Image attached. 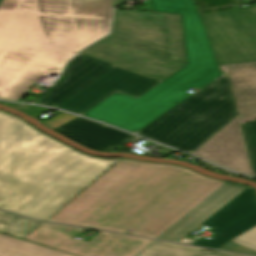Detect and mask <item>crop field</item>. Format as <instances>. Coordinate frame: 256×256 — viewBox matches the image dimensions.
<instances>
[{
    "label": "crop field",
    "instance_id": "1",
    "mask_svg": "<svg viewBox=\"0 0 256 256\" xmlns=\"http://www.w3.org/2000/svg\"><path fill=\"white\" fill-rule=\"evenodd\" d=\"M151 2L154 12L181 13L188 64L137 99L116 92L82 116L134 132L189 88H202L137 132L192 153L237 115L228 75L219 70L193 0Z\"/></svg>",
    "mask_w": 256,
    "mask_h": 256
},
{
    "label": "crop field",
    "instance_id": "2",
    "mask_svg": "<svg viewBox=\"0 0 256 256\" xmlns=\"http://www.w3.org/2000/svg\"><path fill=\"white\" fill-rule=\"evenodd\" d=\"M223 183L122 159L48 221L155 238Z\"/></svg>",
    "mask_w": 256,
    "mask_h": 256
},
{
    "label": "crop field",
    "instance_id": "3",
    "mask_svg": "<svg viewBox=\"0 0 256 256\" xmlns=\"http://www.w3.org/2000/svg\"><path fill=\"white\" fill-rule=\"evenodd\" d=\"M112 0H3L0 98L17 100L42 75L108 34Z\"/></svg>",
    "mask_w": 256,
    "mask_h": 256
},
{
    "label": "crop field",
    "instance_id": "4",
    "mask_svg": "<svg viewBox=\"0 0 256 256\" xmlns=\"http://www.w3.org/2000/svg\"><path fill=\"white\" fill-rule=\"evenodd\" d=\"M118 160L89 157L0 112V209L45 221Z\"/></svg>",
    "mask_w": 256,
    "mask_h": 256
},
{
    "label": "crop field",
    "instance_id": "5",
    "mask_svg": "<svg viewBox=\"0 0 256 256\" xmlns=\"http://www.w3.org/2000/svg\"><path fill=\"white\" fill-rule=\"evenodd\" d=\"M200 17L219 65L256 61V4Z\"/></svg>",
    "mask_w": 256,
    "mask_h": 256
},
{
    "label": "crop field",
    "instance_id": "6",
    "mask_svg": "<svg viewBox=\"0 0 256 256\" xmlns=\"http://www.w3.org/2000/svg\"><path fill=\"white\" fill-rule=\"evenodd\" d=\"M65 226L44 223L26 237L31 241L81 256H132L149 241L100 232L90 243L72 239L81 229L64 232Z\"/></svg>",
    "mask_w": 256,
    "mask_h": 256
},
{
    "label": "crop field",
    "instance_id": "7",
    "mask_svg": "<svg viewBox=\"0 0 256 256\" xmlns=\"http://www.w3.org/2000/svg\"><path fill=\"white\" fill-rule=\"evenodd\" d=\"M159 82L115 66L56 108L81 115L116 91L137 98Z\"/></svg>",
    "mask_w": 256,
    "mask_h": 256
},
{
    "label": "crop field",
    "instance_id": "8",
    "mask_svg": "<svg viewBox=\"0 0 256 256\" xmlns=\"http://www.w3.org/2000/svg\"><path fill=\"white\" fill-rule=\"evenodd\" d=\"M203 224L214 228L210 240L201 238L195 245L219 248L229 240L256 225V193L247 188Z\"/></svg>",
    "mask_w": 256,
    "mask_h": 256
},
{
    "label": "crop field",
    "instance_id": "9",
    "mask_svg": "<svg viewBox=\"0 0 256 256\" xmlns=\"http://www.w3.org/2000/svg\"><path fill=\"white\" fill-rule=\"evenodd\" d=\"M192 154L229 169L255 176L237 118Z\"/></svg>",
    "mask_w": 256,
    "mask_h": 256
},
{
    "label": "crop field",
    "instance_id": "10",
    "mask_svg": "<svg viewBox=\"0 0 256 256\" xmlns=\"http://www.w3.org/2000/svg\"><path fill=\"white\" fill-rule=\"evenodd\" d=\"M113 66L101 60L79 54L68 63L60 81L49 90L39 104L57 106Z\"/></svg>",
    "mask_w": 256,
    "mask_h": 256
},
{
    "label": "crop field",
    "instance_id": "11",
    "mask_svg": "<svg viewBox=\"0 0 256 256\" xmlns=\"http://www.w3.org/2000/svg\"><path fill=\"white\" fill-rule=\"evenodd\" d=\"M246 188L226 182L156 238L179 242Z\"/></svg>",
    "mask_w": 256,
    "mask_h": 256
},
{
    "label": "crop field",
    "instance_id": "12",
    "mask_svg": "<svg viewBox=\"0 0 256 256\" xmlns=\"http://www.w3.org/2000/svg\"><path fill=\"white\" fill-rule=\"evenodd\" d=\"M55 130L89 148L101 151H112L140 139L80 117Z\"/></svg>",
    "mask_w": 256,
    "mask_h": 256
},
{
    "label": "crop field",
    "instance_id": "13",
    "mask_svg": "<svg viewBox=\"0 0 256 256\" xmlns=\"http://www.w3.org/2000/svg\"><path fill=\"white\" fill-rule=\"evenodd\" d=\"M219 67L229 75L240 123L256 120V62Z\"/></svg>",
    "mask_w": 256,
    "mask_h": 256
},
{
    "label": "crop field",
    "instance_id": "14",
    "mask_svg": "<svg viewBox=\"0 0 256 256\" xmlns=\"http://www.w3.org/2000/svg\"><path fill=\"white\" fill-rule=\"evenodd\" d=\"M206 249L152 240L134 256H245L215 251L206 253Z\"/></svg>",
    "mask_w": 256,
    "mask_h": 256
},
{
    "label": "crop field",
    "instance_id": "15",
    "mask_svg": "<svg viewBox=\"0 0 256 256\" xmlns=\"http://www.w3.org/2000/svg\"><path fill=\"white\" fill-rule=\"evenodd\" d=\"M0 256H72L0 234Z\"/></svg>",
    "mask_w": 256,
    "mask_h": 256
},
{
    "label": "crop field",
    "instance_id": "16",
    "mask_svg": "<svg viewBox=\"0 0 256 256\" xmlns=\"http://www.w3.org/2000/svg\"><path fill=\"white\" fill-rule=\"evenodd\" d=\"M41 224V222L0 212V232L14 237L23 239Z\"/></svg>",
    "mask_w": 256,
    "mask_h": 256
},
{
    "label": "crop field",
    "instance_id": "17",
    "mask_svg": "<svg viewBox=\"0 0 256 256\" xmlns=\"http://www.w3.org/2000/svg\"><path fill=\"white\" fill-rule=\"evenodd\" d=\"M241 127L251 164L256 172V121L242 124Z\"/></svg>",
    "mask_w": 256,
    "mask_h": 256
},
{
    "label": "crop field",
    "instance_id": "18",
    "mask_svg": "<svg viewBox=\"0 0 256 256\" xmlns=\"http://www.w3.org/2000/svg\"><path fill=\"white\" fill-rule=\"evenodd\" d=\"M236 243L256 250V226L232 239Z\"/></svg>",
    "mask_w": 256,
    "mask_h": 256
},
{
    "label": "crop field",
    "instance_id": "19",
    "mask_svg": "<svg viewBox=\"0 0 256 256\" xmlns=\"http://www.w3.org/2000/svg\"><path fill=\"white\" fill-rule=\"evenodd\" d=\"M77 116H73V115H69V114H61L51 120H48L46 122H43V124L55 129L69 121H71L72 119L76 118Z\"/></svg>",
    "mask_w": 256,
    "mask_h": 256
},
{
    "label": "crop field",
    "instance_id": "20",
    "mask_svg": "<svg viewBox=\"0 0 256 256\" xmlns=\"http://www.w3.org/2000/svg\"><path fill=\"white\" fill-rule=\"evenodd\" d=\"M3 104L13 107L15 109L23 110L28 114H32V112L35 109V106H29V105H16V104H9V103H5V102Z\"/></svg>",
    "mask_w": 256,
    "mask_h": 256
},
{
    "label": "crop field",
    "instance_id": "21",
    "mask_svg": "<svg viewBox=\"0 0 256 256\" xmlns=\"http://www.w3.org/2000/svg\"><path fill=\"white\" fill-rule=\"evenodd\" d=\"M0 103H2V102H0Z\"/></svg>",
    "mask_w": 256,
    "mask_h": 256
},
{
    "label": "crop field",
    "instance_id": "22",
    "mask_svg": "<svg viewBox=\"0 0 256 256\" xmlns=\"http://www.w3.org/2000/svg\"><path fill=\"white\" fill-rule=\"evenodd\" d=\"M1 1V0H0Z\"/></svg>",
    "mask_w": 256,
    "mask_h": 256
}]
</instances>
